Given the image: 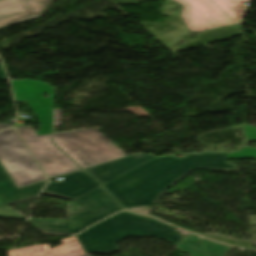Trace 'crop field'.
<instances>
[{"instance_id": "20", "label": "crop field", "mask_w": 256, "mask_h": 256, "mask_svg": "<svg viewBox=\"0 0 256 256\" xmlns=\"http://www.w3.org/2000/svg\"><path fill=\"white\" fill-rule=\"evenodd\" d=\"M11 126L10 124H0V130Z\"/></svg>"}, {"instance_id": "8", "label": "crop field", "mask_w": 256, "mask_h": 256, "mask_svg": "<svg viewBox=\"0 0 256 256\" xmlns=\"http://www.w3.org/2000/svg\"><path fill=\"white\" fill-rule=\"evenodd\" d=\"M15 94V100L26 99L34 110L40 123L37 135L51 133L53 87L40 81L11 80ZM49 93V98L42 97L43 93Z\"/></svg>"}, {"instance_id": "17", "label": "crop field", "mask_w": 256, "mask_h": 256, "mask_svg": "<svg viewBox=\"0 0 256 256\" xmlns=\"http://www.w3.org/2000/svg\"><path fill=\"white\" fill-rule=\"evenodd\" d=\"M53 126H61V110H54Z\"/></svg>"}, {"instance_id": "9", "label": "crop field", "mask_w": 256, "mask_h": 256, "mask_svg": "<svg viewBox=\"0 0 256 256\" xmlns=\"http://www.w3.org/2000/svg\"><path fill=\"white\" fill-rule=\"evenodd\" d=\"M54 0L0 1V28L38 19Z\"/></svg>"}, {"instance_id": "4", "label": "crop field", "mask_w": 256, "mask_h": 256, "mask_svg": "<svg viewBox=\"0 0 256 256\" xmlns=\"http://www.w3.org/2000/svg\"><path fill=\"white\" fill-rule=\"evenodd\" d=\"M53 142L83 169L126 156L95 128L53 134Z\"/></svg>"}, {"instance_id": "12", "label": "crop field", "mask_w": 256, "mask_h": 256, "mask_svg": "<svg viewBox=\"0 0 256 256\" xmlns=\"http://www.w3.org/2000/svg\"><path fill=\"white\" fill-rule=\"evenodd\" d=\"M45 181L17 189L0 164V207L38 197Z\"/></svg>"}, {"instance_id": "11", "label": "crop field", "mask_w": 256, "mask_h": 256, "mask_svg": "<svg viewBox=\"0 0 256 256\" xmlns=\"http://www.w3.org/2000/svg\"><path fill=\"white\" fill-rule=\"evenodd\" d=\"M153 158L155 157L152 153L147 155L135 153L84 170L94 176L103 185Z\"/></svg>"}, {"instance_id": "3", "label": "crop field", "mask_w": 256, "mask_h": 256, "mask_svg": "<svg viewBox=\"0 0 256 256\" xmlns=\"http://www.w3.org/2000/svg\"><path fill=\"white\" fill-rule=\"evenodd\" d=\"M120 210L122 208L101 186L66 204L68 220L30 218L28 223L44 234H76Z\"/></svg>"}, {"instance_id": "15", "label": "crop field", "mask_w": 256, "mask_h": 256, "mask_svg": "<svg viewBox=\"0 0 256 256\" xmlns=\"http://www.w3.org/2000/svg\"><path fill=\"white\" fill-rule=\"evenodd\" d=\"M0 216L27 219V218L23 217L22 215L16 213L15 211L11 210L9 208V206L0 208Z\"/></svg>"}, {"instance_id": "2", "label": "crop field", "mask_w": 256, "mask_h": 256, "mask_svg": "<svg viewBox=\"0 0 256 256\" xmlns=\"http://www.w3.org/2000/svg\"><path fill=\"white\" fill-rule=\"evenodd\" d=\"M127 237H161L177 245L182 236L172 227L121 212L77 236L86 253L117 251L115 244Z\"/></svg>"}, {"instance_id": "7", "label": "crop field", "mask_w": 256, "mask_h": 256, "mask_svg": "<svg viewBox=\"0 0 256 256\" xmlns=\"http://www.w3.org/2000/svg\"><path fill=\"white\" fill-rule=\"evenodd\" d=\"M16 128L48 178L79 169L50 142L51 134L37 136L31 126Z\"/></svg>"}, {"instance_id": "5", "label": "crop field", "mask_w": 256, "mask_h": 256, "mask_svg": "<svg viewBox=\"0 0 256 256\" xmlns=\"http://www.w3.org/2000/svg\"><path fill=\"white\" fill-rule=\"evenodd\" d=\"M0 161L18 187L45 179L14 129L0 133Z\"/></svg>"}, {"instance_id": "14", "label": "crop field", "mask_w": 256, "mask_h": 256, "mask_svg": "<svg viewBox=\"0 0 256 256\" xmlns=\"http://www.w3.org/2000/svg\"><path fill=\"white\" fill-rule=\"evenodd\" d=\"M177 249L188 253L189 256H224L230 250V247L210 243L190 235L184 237Z\"/></svg>"}, {"instance_id": "16", "label": "crop field", "mask_w": 256, "mask_h": 256, "mask_svg": "<svg viewBox=\"0 0 256 256\" xmlns=\"http://www.w3.org/2000/svg\"><path fill=\"white\" fill-rule=\"evenodd\" d=\"M245 130L246 140H256V128L250 125H243Z\"/></svg>"}, {"instance_id": "1", "label": "crop field", "mask_w": 256, "mask_h": 256, "mask_svg": "<svg viewBox=\"0 0 256 256\" xmlns=\"http://www.w3.org/2000/svg\"><path fill=\"white\" fill-rule=\"evenodd\" d=\"M256 159L255 147H241L229 154H187L155 158L103 185L125 208L151 207L161 193L194 169H237L227 159Z\"/></svg>"}, {"instance_id": "19", "label": "crop field", "mask_w": 256, "mask_h": 256, "mask_svg": "<svg viewBox=\"0 0 256 256\" xmlns=\"http://www.w3.org/2000/svg\"><path fill=\"white\" fill-rule=\"evenodd\" d=\"M0 78L4 79V80H7L6 75L4 73V70H3L2 66H1V64H0Z\"/></svg>"}, {"instance_id": "10", "label": "crop field", "mask_w": 256, "mask_h": 256, "mask_svg": "<svg viewBox=\"0 0 256 256\" xmlns=\"http://www.w3.org/2000/svg\"><path fill=\"white\" fill-rule=\"evenodd\" d=\"M62 178L60 183L49 181L43 194L73 200L101 186L83 171L62 176Z\"/></svg>"}, {"instance_id": "21", "label": "crop field", "mask_w": 256, "mask_h": 256, "mask_svg": "<svg viewBox=\"0 0 256 256\" xmlns=\"http://www.w3.org/2000/svg\"><path fill=\"white\" fill-rule=\"evenodd\" d=\"M184 17V16H183ZM184 19H185V21H186V23H187V25H188V23H189V21L184 17ZM192 30V29H191ZM193 31V30H192Z\"/></svg>"}, {"instance_id": "13", "label": "crop field", "mask_w": 256, "mask_h": 256, "mask_svg": "<svg viewBox=\"0 0 256 256\" xmlns=\"http://www.w3.org/2000/svg\"><path fill=\"white\" fill-rule=\"evenodd\" d=\"M61 246L49 249V245H34L8 251L9 256H82L85 253L76 236L61 240Z\"/></svg>"}, {"instance_id": "6", "label": "crop field", "mask_w": 256, "mask_h": 256, "mask_svg": "<svg viewBox=\"0 0 256 256\" xmlns=\"http://www.w3.org/2000/svg\"><path fill=\"white\" fill-rule=\"evenodd\" d=\"M185 6L183 15L194 31H203L221 25L235 24L239 13L235 7L251 0H176Z\"/></svg>"}, {"instance_id": "18", "label": "crop field", "mask_w": 256, "mask_h": 256, "mask_svg": "<svg viewBox=\"0 0 256 256\" xmlns=\"http://www.w3.org/2000/svg\"><path fill=\"white\" fill-rule=\"evenodd\" d=\"M246 7H247L246 5H240L236 8V11H238L240 13L239 16L237 17V19L234 20L236 23L241 22V19L243 17V14H244V11H245Z\"/></svg>"}]
</instances>
